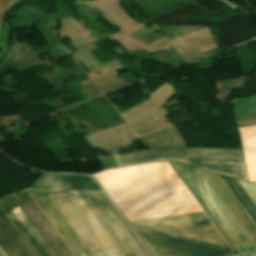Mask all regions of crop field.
Here are the masks:
<instances>
[{
  "instance_id": "1",
  "label": "crop field",
  "mask_w": 256,
  "mask_h": 256,
  "mask_svg": "<svg viewBox=\"0 0 256 256\" xmlns=\"http://www.w3.org/2000/svg\"><path fill=\"white\" fill-rule=\"evenodd\" d=\"M128 221L201 212L168 162L95 173ZM154 256H223L233 248L205 212L132 221Z\"/></svg>"
},
{
  "instance_id": "2",
  "label": "crop field",
  "mask_w": 256,
  "mask_h": 256,
  "mask_svg": "<svg viewBox=\"0 0 256 256\" xmlns=\"http://www.w3.org/2000/svg\"><path fill=\"white\" fill-rule=\"evenodd\" d=\"M48 193L93 256H148L104 193Z\"/></svg>"
},
{
  "instance_id": "3",
  "label": "crop field",
  "mask_w": 256,
  "mask_h": 256,
  "mask_svg": "<svg viewBox=\"0 0 256 256\" xmlns=\"http://www.w3.org/2000/svg\"><path fill=\"white\" fill-rule=\"evenodd\" d=\"M119 167L161 161L179 160L197 168L246 179L241 150L160 148L116 154Z\"/></svg>"
},
{
  "instance_id": "4",
  "label": "crop field",
  "mask_w": 256,
  "mask_h": 256,
  "mask_svg": "<svg viewBox=\"0 0 256 256\" xmlns=\"http://www.w3.org/2000/svg\"><path fill=\"white\" fill-rule=\"evenodd\" d=\"M238 254L256 252V248L215 196L196 169L170 162Z\"/></svg>"
},
{
  "instance_id": "5",
  "label": "crop field",
  "mask_w": 256,
  "mask_h": 256,
  "mask_svg": "<svg viewBox=\"0 0 256 256\" xmlns=\"http://www.w3.org/2000/svg\"><path fill=\"white\" fill-rule=\"evenodd\" d=\"M73 256H92L47 191H27Z\"/></svg>"
},
{
  "instance_id": "6",
  "label": "crop field",
  "mask_w": 256,
  "mask_h": 256,
  "mask_svg": "<svg viewBox=\"0 0 256 256\" xmlns=\"http://www.w3.org/2000/svg\"><path fill=\"white\" fill-rule=\"evenodd\" d=\"M198 170V169H197ZM216 196L220 199L235 221L256 247V225L228 190L218 175L198 170Z\"/></svg>"
},
{
  "instance_id": "7",
  "label": "crop field",
  "mask_w": 256,
  "mask_h": 256,
  "mask_svg": "<svg viewBox=\"0 0 256 256\" xmlns=\"http://www.w3.org/2000/svg\"><path fill=\"white\" fill-rule=\"evenodd\" d=\"M19 205L25 211L27 216L30 218L32 223L35 225L37 230L40 232L42 237L48 243L50 248L53 250L56 256H71L69 251L66 249L64 244L61 242L59 237L56 235L54 230L51 228L49 223L46 221L44 216L41 214L39 209L33 203L31 198L21 201L17 194L13 195Z\"/></svg>"
},
{
  "instance_id": "8",
  "label": "crop field",
  "mask_w": 256,
  "mask_h": 256,
  "mask_svg": "<svg viewBox=\"0 0 256 256\" xmlns=\"http://www.w3.org/2000/svg\"><path fill=\"white\" fill-rule=\"evenodd\" d=\"M2 202L29 238L40 256H55L13 196L2 199Z\"/></svg>"
},
{
  "instance_id": "9",
  "label": "crop field",
  "mask_w": 256,
  "mask_h": 256,
  "mask_svg": "<svg viewBox=\"0 0 256 256\" xmlns=\"http://www.w3.org/2000/svg\"><path fill=\"white\" fill-rule=\"evenodd\" d=\"M64 189L101 190L94 180L82 176L54 175ZM31 188L62 189L52 175L41 174Z\"/></svg>"
},
{
  "instance_id": "10",
  "label": "crop field",
  "mask_w": 256,
  "mask_h": 256,
  "mask_svg": "<svg viewBox=\"0 0 256 256\" xmlns=\"http://www.w3.org/2000/svg\"><path fill=\"white\" fill-rule=\"evenodd\" d=\"M0 244L9 256H33L0 209Z\"/></svg>"
},
{
  "instance_id": "11",
  "label": "crop field",
  "mask_w": 256,
  "mask_h": 256,
  "mask_svg": "<svg viewBox=\"0 0 256 256\" xmlns=\"http://www.w3.org/2000/svg\"><path fill=\"white\" fill-rule=\"evenodd\" d=\"M249 181L256 182V126L239 128Z\"/></svg>"
},
{
  "instance_id": "12",
  "label": "crop field",
  "mask_w": 256,
  "mask_h": 256,
  "mask_svg": "<svg viewBox=\"0 0 256 256\" xmlns=\"http://www.w3.org/2000/svg\"><path fill=\"white\" fill-rule=\"evenodd\" d=\"M220 177L230 189V191L233 193V195L236 197V199L239 201V203L246 210V212L249 214V216L252 218V220L256 223V207L242 190V188L239 186V184L236 182V180L224 176Z\"/></svg>"
},
{
  "instance_id": "13",
  "label": "crop field",
  "mask_w": 256,
  "mask_h": 256,
  "mask_svg": "<svg viewBox=\"0 0 256 256\" xmlns=\"http://www.w3.org/2000/svg\"><path fill=\"white\" fill-rule=\"evenodd\" d=\"M0 208L2 209V211L5 213V215L7 216V218L10 220V222L12 223V225L15 227V229L17 230V232L20 234V236L22 237V239L25 241V243L27 244V246L30 248V250L32 251V253L34 254V256H39V254L37 253V251L35 250V248L32 246V244L30 243V241L28 240V238L25 236V234L23 233V231L20 229V227L18 226V224L16 223V221L13 219V217L11 216V214L8 212V210L6 209V207L3 205V203L0 200Z\"/></svg>"
},
{
  "instance_id": "14",
  "label": "crop field",
  "mask_w": 256,
  "mask_h": 256,
  "mask_svg": "<svg viewBox=\"0 0 256 256\" xmlns=\"http://www.w3.org/2000/svg\"><path fill=\"white\" fill-rule=\"evenodd\" d=\"M11 5H12V2L0 0V27H1V23H2V20H3L4 14H5L6 11L9 10Z\"/></svg>"
},
{
  "instance_id": "15",
  "label": "crop field",
  "mask_w": 256,
  "mask_h": 256,
  "mask_svg": "<svg viewBox=\"0 0 256 256\" xmlns=\"http://www.w3.org/2000/svg\"><path fill=\"white\" fill-rule=\"evenodd\" d=\"M237 126H249V125H256V117L255 118H247V119H239L236 120Z\"/></svg>"
},
{
  "instance_id": "16",
  "label": "crop field",
  "mask_w": 256,
  "mask_h": 256,
  "mask_svg": "<svg viewBox=\"0 0 256 256\" xmlns=\"http://www.w3.org/2000/svg\"><path fill=\"white\" fill-rule=\"evenodd\" d=\"M0 256H7L4 251L2 250V248L0 247Z\"/></svg>"
},
{
  "instance_id": "17",
  "label": "crop field",
  "mask_w": 256,
  "mask_h": 256,
  "mask_svg": "<svg viewBox=\"0 0 256 256\" xmlns=\"http://www.w3.org/2000/svg\"><path fill=\"white\" fill-rule=\"evenodd\" d=\"M244 256H256V254H251V255H244Z\"/></svg>"
},
{
  "instance_id": "18",
  "label": "crop field",
  "mask_w": 256,
  "mask_h": 256,
  "mask_svg": "<svg viewBox=\"0 0 256 256\" xmlns=\"http://www.w3.org/2000/svg\"><path fill=\"white\" fill-rule=\"evenodd\" d=\"M0 33H1V28H0ZM0 43H1V40H0Z\"/></svg>"
},
{
  "instance_id": "19",
  "label": "crop field",
  "mask_w": 256,
  "mask_h": 256,
  "mask_svg": "<svg viewBox=\"0 0 256 256\" xmlns=\"http://www.w3.org/2000/svg\"><path fill=\"white\" fill-rule=\"evenodd\" d=\"M8 1H12L13 2V0H8Z\"/></svg>"
},
{
  "instance_id": "20",
  "label": "crop field",
  "mask_w": 256,
  "mask_h": 256,
  "mask_svg": "<svg viewBox=\"0 0 256 256\" xmlns=\"http://www.w3.org/2000/svg\"><path fill=\"white\" fill-rule=\"evenodd\" d=\"M21 1V0H20Z\"/></svg>"
}]
</instances>
